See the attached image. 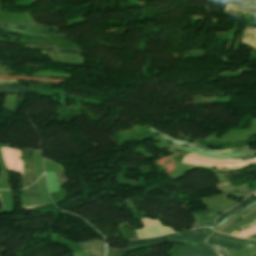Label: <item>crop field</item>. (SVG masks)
Here are the masks:
<instances>
[{
	"mask_svg": "<svg viewBox=\"0 0 256 256\" xmlns=\"http://www.w3.org/2000/svg\"><path fill=\"white\" fill-rule=\"evenodd\" d=\"M0 149L2 151V155L7 168L23 175V169H22L23 163H22L20 151L13 150V149H6V148H0Z\"/></svg>",
	"mask_w": 256,
	"mask_h": 256,
	"instance_id": "dd49c442",
	"label": "crop field"
},
{
	"mask_svg": "<svg viewBox=\"0 0 256 256\" xmlns=\"http://www.w3.org/2000/svg\"><path fill=\"white\" fill-rule=\"evenodd\" d=\"M192 146H195V147H198L204 151H207V152H210V153H214V154H218V155H225V154H229V153H234L236 152L235 149H227V150H221V151H216V150H211V149H208L204 146H201L197 143H194L192 144Z\"/></svg>",
	"mask_w": 256,
	"mask_h": 256,
	"instance_id": "733c2abd",
	"label": "crop field"
},
{
	"mask_svg": "<svg viewBox=\"0 0 256 256\" xmlns=\"http://www.w3.org/2000/svg\"><path fill=\"white\" fill-rule=\"evenodd\" d=\"M252 195H253V194H252ZM252 195H251V196H252ZM254 195L256 196V193H255ZM251 196H249L248 198L244 199L241 204L237 205L236 207L232 208L231 210H229V211L225 212L223 215H221V216L218 218V220H217L216 223H218V222H219L220 220H222L224 217H226V216H228V215H230V214H232V213H234V212L240 210V209L243 208L244 206L248 205V204L252 201V197H251ZM219 223H220V222H219Z\"/></svg>",
	"mask_w": 256,
	"mask_h": 256,
	"instance_id": "d9b57169",
	"label": "crop field"
},
{
	"mask_svg": "<svg viewBox=\"0 0 256 256\" xmlns=\"http://www.w3.org/2000/svg\"><path fill=\"white\" fill-rule=\"evenodd\" d=\"M15 39L16 38H12L11 42H16ZM0 41H2V42H9V41H7V39H4V38H0Z\"/></svg>",
	"mask_w": 256,
	"mask_h": 256,
	"instance_id": "ae1a2a85",
	"label": "crop field"
},
{
	"mask_svg": "<svg viewBox=\"0 0 256 256\" xmlns=\"http://www.w3.org/2000/svg\"><path fill=\"white\" fill-rule=\"evenodd\" d=\"M0 83H16V84H18L16 80H5V79H0Z\"/></svg>",
	"mask_w": 256,
	"mask_h": 256,
	"instance_id": "eef30255",
	"label": "crop field"
},
{
	"mask_svg": "<svg viewBox=\"0 0 256 256\" xmlns=\"http://www.w3.org/2000/svg\"><path fill=\"white\" fill-rule=\"evenodd\" d=\"M27 48L30 49H41V50H52L56 51L55 47H50V46H37V45H26Z\"/></svg>",
	"mask_w": 256,
	"mask_h": 256,
	"instance_id": "92a150f3",
	"label": "crop field"
},
{
	"mask_svg": "<svg viewBox=\"0 0 256 256\" xmlns=\"http://www.w3.org/2000/svg\"><path fill=\"white\" fill-rule=\"evenodd\" d=\"M111 256H123L125 253L129 252V249H124V250H116V249H111Z\"/></svg>",
	"mask_w": 256,
	"mask_h": 256,
	"instance_id": "dafd665d",
	"label": "crop field"
},
{
	"mask_svg": "<svg viewBox=\"0 0 256 256\" xmlns=\"http://www.w3.org/2000/svg\"><path fill=\"white\" fill-rule=\"evenodd\" d=\"M0 24L17 26V27H23V28H29V29H35V30L50 31L49 27H45V26H42V25H35V24H25V23H17V22H3V21H0ZM0 27H3L4 30H8V31H16V32H22V33L49 35V36H55V37H66V35H56V34H54L52 32L17 29V28L5 27V26H0Z\"/></svg>",
	"mask_w": 256,
	"mask_h": 256,
	"instance_id": "34b2d1b8",
	"label": "crop field"
},
{
	"mask_svg": "<svg viewBox=\"0 0 256 256\" xmlns=\"http://www.w3.org/2000/svg\"><path fill=\"white\" fill-rule=\"evenodd\" d=\"M242 42L256 48V28L247 26L242 37Z\"/></svg>",
	"mask_w": 256,
	"mask_h": 256,
	"instance_id": "d1516ede",
	"label": "crop field"
},
{
	"mask_svg": "<svg viewBox=\"0 0 256 256\" xmlns=\"http://www.w3.org/2000/svg\"><path fill=\"white\" fill-rule=\"evenodd\" d=\"M150 130L153 131L154 133H156L157 135H159L160 137H162V138H164V139H166V140H168V141H170V142H173L172 144H178V145H183V146H190V145H189L187 142H185V141L174 140L175 138L172 139V138H170V137H168V136H166V135H164V134H162V133H160V132H158V131L152 129L151 127H150Z\"/></svg>",
	"mask_w": 256,
	"mask_h": 256,
	"instance_id": "4a817a6b",
	"label": "crop field"
},
{
	"mask_svg": "<svg viewBox=\"0 0 256 256\" xmlns=\"http://www.w3.org/2000/svg\"><path fill=\"white\" fill-rule=\"evenodd\" d=\"M255 193V192H254Z\"/></svg>",
	"mask_w": 256,
	"mask_h": 256,
	"instance_id": "750c4746",
	"label": "crop field"
},
{
	"mask_svg": "<svg viewBox=\"0 0 256 256\" xmlns=\"http://www.w3.org/2000/svg\"><path fill=\"white\" fill-rule=\"evenodd\" d=\"M212 232L210 228H202L166 236L168 239L186 242L181 256H216L211 247L204 245V239Z\"/></svg>",
	"mask_w": 256,
	"mask_h": 256,
	"instance_id": "8a807250",
	"label": "crop field"
},
{
	"mask_svg": "<svg viewBox=\"0 0 256 256\" xmlns=\"http://www.w3.org/2000/svg\"><path fill=\"white\" fill-rule=\"evenodd\" d=\"M247 190H251L247 184L232 186L230 183H223V184H219L218 186V191H247Z\"/></svg>",
	"mask_w": 256,
	"mask_h": 256,
	"instance_id": "cbeb9de0",
	"label": "crop field"
},
{
	"mask_svg": "<svg viewBox=\"0 0 256 256\" xmlns=\"http://www.w3.org/2000/svg\"><path fill=\"white\" fill-rule=\"evenodd\" d=\"M254 233H256V225H254L250 228H247L245 230H242V231L236 233L234 236L246 238Z\"/></svg>",
	"mask_w": 256,
	"mask_h": 256,
	"instance_id": "214f88e0",
	"label": "crop field"
},
{
	"mask_svg": "<svg viewBox=\"0 0 256 256\" xmlns=\"http://www.w3.org/2000/svg\"><path fill=\"white\" fill-rule=\"evenodd\" d=\"M254 191L255 190L248 191V192H239V197H246V196H248L250 193H252Z\"/></svg>",
	"mask_w": 256,
	"mask_h": 256,
	"instance_id": "730fd06b",
	"label": "crop field"
},
{
	"mask_svg": "<svg viewBox=\"0 0 256 256\" xmlns=\"http://www.w3.org/2000/svg\"><path fill=\"white\" fill-rule=\"evenodd\" d=\"M60 52H68V53H76V54H81L79 50H66V49H57Z\"/></svg>",
	"mask_w": 256,
	"mask_h": 256,
	"instance_id": "4177f3b9",
	"label": "crop field"
},
{
	"mask_svg": "<svg viewBox=\"0 0 256 256\" xmlns=\"http://www.w3.org/2000/svg\"><path fill=\"white\" fill-rule=\"evenodd\" d=\"M32 90L37 91V89L27 88V86L1 85L0 84V94H6V93H33Z\"/></svg>",
	"mask_w": 256,
	"mask_h": 256,
	"instance_id": "3316defc",
	"label": "crop field"
},
{
	"mask_svg": "<svg viewBox=\"0 0 256 256\" xmlns=\"http://www.w3.org/2000/svg\"><path fill=\"white\" fill-rule=\"evenodd\" d=\"M226 12H242L256 15V7L249 6H228L225 8Z\"/></svg>",
	"mask_w": 256,
	"mask_h": 256,
	"instance_id": "5142ce71",
	"label": "crop field"
},
{
	"mask_svg": "<svg viewBox=\"0 0 256 256\" xmlns=\"http://www.w3.org/2000/svg\"><path fill=\"white\" fill-rule=\"evenodd\" d=\"M87 253L91 256H105V244L101 241H90L85 244H80Z\"/></svg>",
	"mask_w": 256,
	"mask_h": 256,
	"instance_id": "d8731c3e",
	"label": "crop field"
},
{
	"mask_svg": "<svg viewBox=\"0 0 256 256\" xmlns=\"http://www.w3.org/2000/svg\"><path fill=\"white\" fill-rule=\"evenodd\" d=\"M187 156H190L195 159L203 160V161H208V162H218V163H234L235 161L232 160H215V159H210L202 156H198L195 154H187Z\"/></svg>",
	"mask_w": 256,
	"mask_h": 256,
	"instance_id": "bc2a9ffb",
	"label": "crop field"
},
{
	"mask_svg": "<svg viewBox=\"0 0 256 256\" xmlns=\"http://www.w3.org/2000/svg\"><path fill=\"white\" fill-rule=\"evenodd\" d=\"M221 212L218 209L213 210H207V211H201L197 213H193V216L196 220V222L205 224L207 226H212L215 219Z\"/></svg>",
	"mask_w": 256,
	"mask_h": 256,
	"instance_id": "e52e79f7",
	"label": "crop field"
},
{
	"mask_svg": "<svg viewBox=\"0 0 256 256\" xmlns=\"http://www.w3.org/2000/svg\"><path fill=\"white\" fill-rule=\"evenodd\" d=\"M246 240L243 239H237L225 235L218 234L214 232L209 237L206 238L205 244L214 246V247H221V248H227V249H233V250H242L243 243ZM214 252L217 254V256H229L228 253L225 251V249L221 248H214Z\"/></svg>",
	"mask_w": 256,
	"mask_h": 256,
	"instance_id": "ac0d7876",
	"label": "crop field"
},
{
	"mask_svg": "<svg viewBox=\"0 0 256 256\" xmlns=\"http://www.w3.org/2000/svg\"><path fill=\"white\" fill-rule=\"evenodd\" d=\"M248 238H256V234H254V235H252V236H250Z\"/></svg>",
	"mask_w": 256,
	"mask_h": 256,
	"instance_id": "d3111659",
	"label": "crop field"
},
{
	"mask_svg": "<svg viewBox=\"0 0 256 256\" xmlns=\"http://www.w3.org/2000/svg\"><path fill=\"white\" fill-rule=\"evenodd\" d=\"M56 174H57V179H58V183H59V184L67 181L64 171L58 172V173H56Z\"/></svg>",
	"mask_w": 256,
	"mask_h": 256,
	"instance_id": "00972430",
	"label": "crop field"
},
{
	"mask_svg": "<svg viewBox=\"0 0 256 256\" xmlns=\"http://www.w3.org/2000/svg\"><path fill=\"white\" fill-rule=\"evenodd\" d=\"M182 162L188 163V164L200 165V166H208V167L234 168V167L244 166V165H247V164H249L251 162H255V161H247V162L235 163V164H213V163H207V162L195 160V159L188 158V157L184 156Z\"/></svg>",
	"mask_w": 256,
	"mask_h": 256,
	"instance_id": "5a996713",
	"label": "crop field"
},
{
	"mask_svg": "<svg viewBox=\"0 0 256 256\" xmlns=\"http://www.w3.org/2000/svg\"><path fill=\"white\" fill-rule=\"evenodd\" d=\"M23 209L43 206L42 197L40 194L38 182L33 187L21 191Z\"/></svg>",
	"mask_w": 256,
	"mask_h": 256,
	"instance_id": "412701ff",
	"label": "crop field"
},
{
	"mask_svg": "<svg viewBox=\"0 0 256 256\" xmlns=\"http://www.w3.org/2000/svg\"><path fill=\"white\" fill-rule=\"evenodd\" d=\"M129 242H130V246H132V245H141V244H152V243L170 242V243H173L175 245H179L182 248H183V246L185 244L183 242L167 240V237H165V236L160 237V238H156V239H144V240L129 241Z\"/></svg>",
	"mask_w": 256,
	"mask_h": 256,
	"instance_id": "28ad6ade",
	"label": "crop field"
},
{
	"mask_svg": "<svg viewBox=\"0 0 256 256\" xmlns=\"http://www.w3.org/2000/svg\"><path fill=\"white\" fill-rule=\"evenodd\" d=\"M256 157V153H253L251 155H248V156H244V157H241V158H237L236 160H247V159H253Z\"/></svg>",
	"mask_w": 256,
	"mask_h": 256,
	"instance_id": "a9b5d70f",
	"label": "crop field"
},
{
	"mask_svg": "<svg viewBox=\"0 0 256 256\" xmlns=\"http://www.w3.org/2000/svg\"><path fill=\"white\" fill-rule=\"evenodd\" d=\"M22 159L24 162L23 168H24V183L25 187L31 185L34 180L37 178L34 168V158H33V152L30 149L22 150Z\"/></svg>",
	"mask_w": 256,
	"mask_h": 256,
	"instance_id": "f4fd0767",
	"label": "crop field"
},
{
	"mask_svg": "<svg viewBox=\"0 0 256 256\" xmlns=\"http://www.w3.org/2000/svg\"><path fill=\"white\" fill-rule=\"evenodd\" d=\"M254 206H256V201L255 202H252L249 206L245 207L244 209L240 210L239 212L231 215V216H228L226 217L225 219H223L220 223H218L216 226L212 227L213 229H218L220 226H222L223 224L229 222L230 220L232 219H235L239 216H241L242 214L248 212L250 209H252Z\"/></svg>",
	"mask_w": 256,
	"mask_h": 256,
	"instance_id": "22f410ed",
	"label": "crop field"
}]
</instances>
